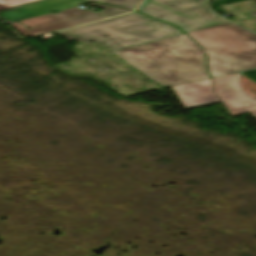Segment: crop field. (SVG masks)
Here are the masks:
<instances>
[{
  "instance_id": "7",
  "label": "crop field",
  "mask_w": 256,
  "mask_h": 256,
  "mask_svg": "<svg viewBox=\"0 0 256 256\" xmlns=\"http://www.w3.org/2000/svg\"><path fill=\"white\" fill-rule=\"evenodd\" d=\"M83 3H90L83 0H45L0 12V18L5 22L11 23L21 21L54 11L63 10L78 6Z\"/></svg>"
},
{
  "instance_id": "6",
  "label": "crop field",
  "mask_w": 256,
  "mask_h": 256,
  "mask_svg": "<svg viewBox=\"0 0 256 256\" xmlns=\"http://www.w3.org/2000/svg\"><path fill=\"white\" fill-rule=\"evenodd\" d=\"M234 82H238V73L214 79V91L229 112L235 115L256 111V102L244 96ZM251 114L256 117V112Z\"/></svg>"
},
{
  "instance_id": "1",
  "label": "crop field",
  "mask_w": 256,
  "mask_h": 256,
  "mask_svg": "<svg viewBox=\"0 0 256 256\" xmlns=\"http://www.w3.org/2000/svg\"><path fill=\"white\" fill-rule=\"evenodd\" d=\"M114 53L165 87L209 78L204 51L185 34Z\"/></svg>"
},
{
  "instance_id": "12",
  "label": "crop field",
  "mask_w": 256,
  "mask_h": 256,
  "mask_svg": "<svg viewBox=\"0 0 256 256\" xmlns=\"http://www.w3.org/2000/svg\"><path fill=\"white\" fill-rule=\"evenodd\" d=\"M90 1H98V0H90Z\"/></svg>"
},
{
  "instance_id": "4",
  "label": "crop field",
  "mask_w": 256,
  "mask_h": 256,
  "mask_svg": "<svg viewBox=\"0 0 256 256\" xmlns=\"http://www.w3.org/2000/svg\"><path fill=\"white\" fill-rule=\"evenodd\" d=\"M137 11L178 26L186 33L228 23L199 0H146Z\"/></svg>"
},
{
  "instance_id": "8",
  "label": "crop field",
  "mask_w": 256,
  "mask_h": 256,
  "mask_svg": "<svg viewBox=\"0 0 256 256\" xmlns=\"http://www.w3.org/2000/svg\"><path fill=\"white\" fill-rule=\"evenodd\" d=\"M211 79L173 88L187 109L220 102L211 90Z\"/></svg>"
},
{
  "instance_id": "5",
  "label": "crop field",
  "mask_w": 256,
  "mask_h": 256,
  "mask_svg": "<svg viewBox=\"0 0 256 256\" xmlns=\"http://www.w3.org/2000/svg\"><path fill=\"white\" fill-rule=\"evenodd\" d=\"M100 12L83 11L78 7L60 11L59 14H49L21 22L11 23L26 38L55 31L58 29L82 24L85 22L105 18ZM69 22V24H67Z\"/></svg>"
},
{
  "instance_id": "2",
  "label": "crop field",
  "mask_w": 256,
  "mask_h": 256,
  "mask_svg": "<svg viewBox=\"0 0 256 256\" xmlns=\"http://www.w3.org/2000/svg\"><path fill=\"white\" fill-rule=\"evenodd\" d=\"M182 33L173 26L134 12L56 34L70 41L99 42L113 52Z\"/></svg>"
},
{
  "instance_id": "10",
  "label": "crop field",
  "mask_w": 256,
  "mask_h": 256,
  "mask_svg": "<svg viewBox=\"0 0 256 256\" xmlns=\"http://www.w3.org/2000/svg\"><path fill=\"white\" fill-rule=\"evenodd\" d=\"M92 5L101 9L105 8V10H103L102 13L107 17L129 11V10H123V9H118L114 7L104 6L96 3H93Z\"/></svg>"
},
{
  "instance_id": "11",
  "label": "crop field",
  "mask_w": 256,
  "mask_h": 256,
  "mask_svg": "<svg viewBox=\"0 0 256 256\" xmlns=\"http://www.w3.org/2000/svg\"><path fill=\"white\" fill-rule=\"evenodd\" d=\"M37 0H0V10Z\"/></svg>"
},
{
  "instance_id": "9",
  "label": "crop field",
  "mask_w": 256,
  "mask_h": 256,
  "mask_svg": "<svg viewBox=\"0 0 256 256\" xmlns=\"http://www.w3.org/2000/svg\"><path fill=\"white\" fill-rule=\"evenodd\" d=\"M141 0H102L101 3L134 9Z\"/></svg>"
},
{
  "instance_id": "3",
  "label": "crop field",
  "mask_w": 256,
  "mask_h": 256,
  "mask_svg": "<svg viewBox=\"0 0 256 256\" xmlns=\"http://www.w3.org/2000/svg\"><path fill=\"white\" fill-rule=\"evenodd\" d=\"M188 35L208 52L213 78L256 68V35L251 32L229 23Z\"/></svg>"
}]
</instances>
